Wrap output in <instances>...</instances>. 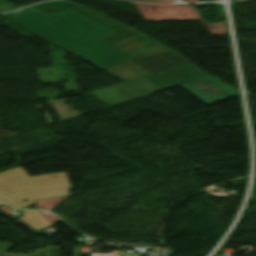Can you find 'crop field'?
Returning a JSON list of instances; mask_svg holds the SVG:
<instances>
[{
    "mask_svg": "<svg viewBox=\"0 0 256 256\" xmlns=\"http://www.w3.org/2000/svg\"><path fill=\"white\" fill-rule=\"evenodd\" d=\"M9 21L31 33L71 52L101 69L134 58L150 56L168 50L154 39L124 26L113 35L109 29L69 10L46 15L32 7L6 15Z\"/></svg>",
    "mask_w": 256,
    "mask_h": 256,
    "instance_id": "8a807250",
    "label": "crop field"
},
{
    "mask_svg": "<svg viewBox=\"0 0 256 256\" xmlns=\"http://www.w3.org/2000/svg\"><path fill=\"white\" fill-rule=\"evenodd\" d=\"M70 188L65 172L30 177L22 168H15L0 173V199L17 208L35 205L38 199L71 194Z\"/></svg>",
    "mask_w": 256,
    "mask_h": 256,
    "instance_id": "ac0d7876",
    "label": "crop field"
},
{
    "mask_svg": "<svg viewBox=\"0 0 256 256\" xmlns=\"http://www.w3.org/2000/svg\"><path fill=\"white\" fill-rule=\"evenodd\" d=\"M139 88L143 89L140 90ZM161 91L145 78H137L108 88L92 92L105 103L113 106L138 97Z\"/></svg>",
    "mask_w": 256,
    "mask_h": 256,
    "instance_id": "34b2d1b8",
    "label": "crop field"
},
{
    "mask_svg": "<svg viewBox=\"0 0 256 256\" xmlns=\"http://www.w3.org/2000/svg\"><path fill=\"white\" fill-rule=\"evenodd\" d=\"M144 77L164 90L207 78L210 75L189 62Z\"/></svg>",
    "mask_w": 256,
    "mask_h": 256,
    "instance_id": "412701ff",
    "label": "crop field"
},
{
    "mask_svg": "<svg viewBox=\"0 0 256 256\" xmlns=\"http://www.w3.org/2000/svg\"><path fill=\"white\" fill-rule=\"evenodd\" d=\"M180 87L206 105L238 96L236 88L224 84L214 76Z\"/></svg>",
    "mask_w": 256,
    "mask_h": 256,
    "instance_id": "f4fd0767",
    "label": "crop field"
},
{
    "mask_svg": "<svg viewBox=\"0 0 256 256\" xmlns=\"http://www.w3.org/2000/svg\"><path fill=\"white\" fill-rule=\"evenodd\" d=\"M33 7L46 13V14L68 8V9L88 18V19H91L101 25H104V26L110 28L111 32L124 26V24L120 23L117 20H114V19L107 17L103 14H100L91 9H88L80 4H72L66 0L49 2V3H45V4L33 6Z\"/></svg>",
    "mask_w": 256,
    "mask_h": 256,
    "instance_id": "dd49c442",
    "label": "crop field"
},
{
    "mask_svg": "<svg viewBox=\"0 0 256 256\" xmlns=\"http://www.w3.org/2000/svg\"><path fill=\"white\" fill-rule=\"evenodd\" d=\"M187 58L174 50H169L134 62L147 69L151 73L164 70L179 64L189 62Z\"/></svg>",
    "mask_w": 256,
    "mask_h": 256,
    "instance_id": "e52e79f7",
    "label": "crop field"
},
{
    "mask_svg": "<svg viewBox=\"0 0 256 256\" xmlns=\"http://www.w3.org/2000/svg\"><path fill=\"white\" fill-rule=\"evenodd\" d=\"M10 243L0 242V256H60L61 247L53 246L35 250L31 254H8L6 253L11 247Z\"/></svg>",
    "mask_w": 256,
    "mask_h": 256,
    "instance_id": "d8731c3e",
    "label": "crop field"
},
{
    "mask_svg": "<svg viewBox=\"0 0 256 256\" xmlns=\"http://www.w3.org/2000/svg\"><path fill=\"white\" fill-rule=\"evenodd\" d=\"M24 217L20 218V220L26 222L32 229L40 230L47 226L52 225V223L43 217L38 212H24Z\"/></svg>",
    "mask_w": 256,
    "mask_h": 256,
    "instance_id": "5a996713",
    "label": "crop field"
},
{
    "mask_svg": "<svg viewBox=\"0 0 256 256\" xmlns=\"http://www.w3.org/2000/svg\"><path fill=\"white\" fill-rule=\"evenodd\" d=\"M11 9H16V7H14L12 4L4 0H0V12H4Z\"/></svg>",
    "mask_w": 256,
    "mask_h": 256,
    "instance_id": "3316defc",
    "label": "crop field"
},
{
    "mask_svg": "<svg viewBox=\"0 0 256 256\" xmlns=\"http://www.w3.org/2000/svg\"><path fill=\"white\" fill-rule=\"evenodd\" d=\"M1 204V203H0Z\"/></svg>",
    "mask_w": 256,
    "mask_h": 256,
    "instance_id": "28ad6ade",
    "label": "crop field"
}]
</instances>
